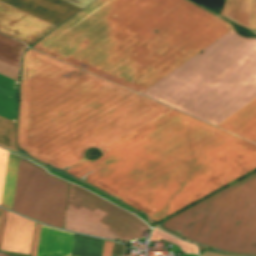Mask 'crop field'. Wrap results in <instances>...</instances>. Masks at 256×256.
<instances>
[{
    "instance_id": "8a807250",
    "label": "crop field",
    "mask_w": 256,
    "mask_h": 256,
    "mask_svg": "<svg viewBox=\"0 0 256 256\" xmlns=\"http://www.w3.org/2000/svg\"><path fill=\"white\" fill-rule=\"evenodd\" d=\"M67 209L125 241L142 238L143 232L149 228L134 215L73 184L70 186ZM72 212L67 211L66 229L112 240L115 238L111 233Z\"/></svg>"
},
{
    "instance_id": "ac0d7876",
    "label": "crop field",
    "mask_w": 256,
    "mask_h": 256,
    "mask_svg": "<svg viewBox=\"0 0 256 256\" xmlns=\"http://www.w3.org/2000/svg\"><path fill=\"white\" fill-rule=\"evenodd\" d=\"M26 160H19L13 210L62 228L69 183Z\"/></svg>"
},
{
    "instance_id": "34b2d1b8",
    "label": "crop field",
    "mask_w": 256,
    "mask_h": 256,
    "mask_svg": "<svg viewBox=\"0 0 256 256\" xmlns=\"http://www.w3.org/2000/svg\"><path fill=\"white\" fill-rule=\"evenodd\" d=\"M33 228V221L8 212L1 249L29 254Z\"/></svg>"
},
{
    "instance_id": "412701ff",
    "label": "crop field",
    "mask_w": 256,
    "mask_h": 256,
    "mask_svg": "<svg viewBox=\"0 0 256 256\" xmlns=\"http://www.w3.org/2000/svg\"><path fill=\"white\" fill-rule=\"evenodd\" d=\"M73 236L72 233L42 225L37 256H69Z\"/></svg>"
},
{
    "instance_id": "f4fd0767",
    "label": "crop field",
    "mask_w": 256,
    "mask_h": 256,
    "mask_svg": "<svg viewBox=\"0 0 256 256\" xmlns=\"http://www.w3.org/2000/svg\"><path fill=\"white\" fill-rule=\"evenodd\" d=\"M7 155H8L7 152L0 150V199L2 195L3 183L5 179V173H6ZM18 160H19L18 156H15L9 153L8 161H7L6 179L4 183L3 196L0 204L1 206H4L11 210L13 207Z\"/></svg>"
},
{
    "instance_id": "dd49c442",
    "label": "crop field",
    "mask_w": 256,
    "mask_h": 256,
    "mask_svg": "<svg viewBox=\"0 0 256 256\" xmlns=\"http://www.w3.org/2000/svg\"><path fill=\"white\" fill-rule=\"evenodd\" d=\"M160 239L178 245L183 252L197 253L195 246L182 242L174 237H171L160 230L154 229L150 240L159 241Z\"/></svg>"
},
{
    "instance_id": "e52e79f7",
    "label": "crop field",
    "mask_w": 256,
    "mask_h": 256,
    "mask_svg": "<svg viewBox=\"0 0 256 256\" xmlns=\"http://www.w3.org/2000/svg\"><path fill=\"white\" fill-rule=\"evenodd\" d=\"M40 228H41V225L37 223L36 224V229H35L34 242H33V248H32L31 256H36L39 234H40Z\"/></svg>"
},
{
    "instance_id": "d8731c3e",
    "label": "crop field",
    "mask_w": 256,
    "mask_h": 256,
    "mask_svg": "<svg viewBox=\"0 0 256 256\" xmlns=\"http://www.w3.org/2000/svg\"><path fill=\"white\" fill-rule=\"evenodd\" d=\"M6 214H7L6 211L0 209V247H1V241H2V236H3L5 220H6Z\"/></svg>"
},
{
    "instance_id": "5a996713",
    "label": "crop field",
    "mask_w": 256,
    "mask_h": 256,
    "mask_svg": "<svg viewBox=\"0 0 256 256\" xmlns=\"http://www.w3.org/2000/svg\"><path fill=\"white\" fill-rule=\"evenodd\" d=\"M113 243L105 241L102 256H110Z\"/></svg>"
},
{
    "instance_id": "3316defc",
    "label": "crop field",
    "mask_w": 256,
    "mask_h": 256,
    "mask_svg": "<svg viewBox=\"0 0 256 256\" xmlns=\"http://www.w3.org/2000/svg\"><path fill=\"white\" fill-rule=\"evenodd\" d=\"M201 256H231V255H225V254H217V253L205 252V253L202 254Z\"/></svg>"
},
{
    "instance_id": "28ad6ade",
    "label": "crop field",
    "mask_w": 256,
    "mask_h": 256,
    "mask_svg": "<svg viewBox=\"0 0 256 256\" xmlns=\"http://www.w3.org/2000/svg\"><path fill=\"white\" fill-rule=\"evenodd\" d=\"M198 248H199V252H202L205 248H202V247H199L198 246Z\"/></svg>"
},
{
    "instance_id": "d1516ede",
    "label": "crop field",
    "mask_w": 256,
    "mask_h": 256,
    "mask_svg": "<svg viewBox=\"0 0 256 256\" xmlns=\"http://www.w3.org/2000/svg\"><path fill=\"white\" fill-rule=\"evenodd\" d=\"M0 256H6V255H4V254L0 253Z\"/></svg>"
}]
</instances>
